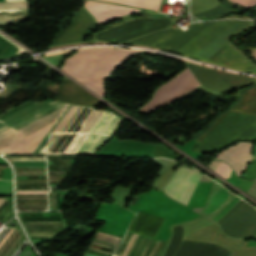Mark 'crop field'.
Instances as JSON below:
<instances>
[{
  "label": "crop field",
  "instance_id": "2",
  "mask_svg": "<svg viewBox=\"0 0 256 256\" xmlns=\"http://www.w3.org/2000/svg\"><path fill=\"white\" fill-rule=\"evenodd\" d=\"M136 52L139 51L113 48L81 50L67 58L61 70L103 97V78L122 60Z\"/></svg>",
  "mask_w": 256,
  "mask_h": 256
},
{
  "label": "crop field",
  "instance_id": "11",
  "mask_svg": "<svg viewBox=\"0 0 256 256\" xmlns=\"http://www.w3.org/2000/svg\"><path fill=\"white\" fill-rule=\"evenodd\" d=\"M85 7L96 17L97 23L139 10L87 0Z\"/></svg>",
  "mask_w": 256,
  "mask_h": 256
},
{
  "label": "crop field",
  "instance_id": "18",
  "mask_svg": "<svg viewBox=\"0 0 256 256\" xmlns=\"http://www.w3.org/2000/svg\"><path fill=\"white\" fill-rule=\"evenodd\" d=\"M218 163H219V161H214V160H212V162H211V164H210V168L215 171V169H216Z\"/></svg>",
  "mask_w": 256,
  "mask_h": 256
},
{
  "label": "crop field",
  "instance_id": "9",
  "mask_svg": "<svg viewBox=\"0 0 256 256\" xmlns=\"http://www.w3.org/2000/svg\"><path fill=\"white\" fill-rule=\"evenodd\" d=\"M65 78V77H64ZM55 100L75 105L93 106L98 100L96 97L76 85L72 81L63 79Z\"/></svg>",
  "mask_w": 256,
  "mask_h": 256
},
{
  "label": "crop field",
  "instance_id": "12",
  "mask_svg": "<svg viewBox=\"0 0 256 256\" xmlns=\"http://www.w3.org/2000/svg\"><path fill=\"white\" fill-rule=\"evenodd\" d=\"M105 1L158 10L159 4L162 0H105Z\"/></svg>",
  "mask_w": 256,
  "mask_h": 256
},
{
  "label": "crop field",
  "instance_id": "15",
  "mask_svg": "<svg viewBox=\"0 0 256 256\" xmlns=\"http://www.w3.org/2000/svg\"><path fill=\"white\" fill-rule=\"evenodd\" d=\"M12 195V182L0 180V196Z\"/></svg>",
  "mask_w": 256,
  "mask_h": 256
},
{
  "label": "crop field",
  "instance_id": "4",
  "mask_svg": "<svg viewBox=\"0 0 256 256\" xmlns=\"http://www.w3.org/2000/svg\"><path fill=\"white\" fill-rule=\"evenodd\" d=\"M211 22L213 21L207 23H193L187 26L189 29L183 32L180 29H166L133 40L127 44H141L176 52L200 31L207 27Z\"/></svg>",
  "mask_w": 256,
  "mask_h": 256
},
{
  "label": "crop field",
  "instance_id": "10",
  "mask_svg": "<svg viewBox=\"0 0 256 256\" xmlns=\"http://www.w3.org/2000/svg\"><path fill=\"white\" fill-rule=\"evenodd\" d=\"M252 143L240 142L239 144L220 152L217 160L228 163L237 175H241L253 157L250 156Z\"/></svg>",
  "mask_w": 256,
  "mask_h": 256
},
{
  "label": "crop field",
  "instance_id": "5",
  "mask_svg": "<svg viewBox=\"0 0 256 256\" xmlns=\"http://www.w3.org/2000/svg\"><path fill=\"white\" fill-rule=\"evenodd\" d=\"M197 81L193 77L189 68L185 69L183 72L174 77L164 86L159 88L154 98L140 110L150 112L162 105L170 103L171 101L181 97L185 93L200 86Z\"/></svg>",
  "mask_w": 256,
  "mask_h": 256
},
{
  "label": "crop field",
  "instance_id": "16",
  "mask_svg": "<svg viewBox=\"0 0 256 256\" xmlns=\"http://www.w3.org/2000/svg\"><path fill=\"white\" fill-rule=\"evenodd\" d=\"M231 1L238 3V4L246 7L247 9L256 4V0H231Z\"/></svg>",
  "mask_w": 256,
  "mask_h": 256
},
{
  "label": "crop field",
  "instance_id": "17",
  "mask_svg": "<svg viewBox=\"0 0 256 256\" xmlns=\"http://www.w3.org/2000/svg\"><path fill=\"white\" fill-rule=\"evenodd\" d=\"M247 193L256 198V179L254 180L253 184L251 185Z\"/></svg>",
  "mask_w": 256,
  "mask_h": 256
},
{
  "label": "crop field",
  "instance_id": "7",
  "mask_svg": "<svg viewBox=\"0 0 256 256\" xmlns=\"http://www.w3.org/2000/svg\"><path fill=\"white\" fill-rule=\"evenodd\" d=\"M239 201L240 198L217 184L211 193L206 208L200 214L217 222Z\"/></svg>",
  "mask_w": 256,
  "mask_h": 256
},
{
  "label": "crop field",
  "instance_id": "20",
  "mask_svg": "<svg viewBox=\"0 0 256 256\" xmlns=\"http://www.w3.org/2000/svg\"><path fill=\"white\" fill-rule=\"evenodd\" d=\"M252 54L256 57V50H254Z\"/></svg>",
  "mask_w": 256,
  "mask_h": 256
},
{
  "label": "crop field",
  "instance_id": "1",
  "mask_svg": "<svg viewBox=\"0 0 256 256\" xmlns=\"http://www.w3.org/2000/svg\"><path fill=\"white\" fill-rule=\"evenodd\" d=\"M251 23L247 21L214 22L177 53L256 73V69L233 50L227 42L229 36L246 28Z\"/></svg>",
  "mask_w": 256,
  "mask_h": 256
},
{
  "label": "crop field",
  "instance_id": "3",
  "mask_svg": "<svg viewBox=\"0 0 256 256\" xmlns=\"http://www.w3.org/2000/svg\"><path fill=\"white\" fill-rule=\"evenodd\" d=\"M255 136L256 116L230 112L200 142L196 150L213 151L238 137L253 139Z\"/></svg>",
  "mask_w": 256,
  "mask_h": 256
},
{
  "label": "crop field",
  "instance_id": "8",
  "mask_svg": "<svg viewBox=\"0 0 256 256\" xmlns=\"http://www.w3.org/2000/svg\"><path fill=\"white\" fill-rule=\"evenodd\" d=\"M94 28L96 26L93 18L81 8L75 16L74 23L57 35L53 46L80 42Z\"/></svg>",
  "mask_w": 256,
  "mask_h": 256
},
{
  "label": "crop field",
  "instance_id": "14",
  "mask_svg": "<svg viewBox=\"0 0 256 256\" xmlns=\"http://www.w3.org/2000/svg\"><path fill=\"white\" fill-rule=\"evenodd\" d=\"M232 169L226 163L220 162L219 166L217 167L216 171L219 175L223 178L227 179L230 176Z\"/></svg>",
  "mask_w": 256,
  "mask_h": 256
},
{
  "label": "crop field",
  "instance_id": "13",
  "mask_svg": "<svg viewBox=\"0 0 256 256\" xmlns=\"http://www.w3.org/2000/svg\"><path fill=\"white\" fill-rule=\"evenodd\" d=\"M234 11L235 10H233V9L226 8V7H223V6L219 5V6L215 7L212 10L205 11V12L196 14L194 16L196 18H200V17H203V16L219 17V16H222V14H226V13H230V12H234Z\"/></svg>",
  "mask_w": 256,
  "mask_h": 256
},
{
  "label": "crop field",
  "instance_id": "19",
  "mask_svg": "<svg viewBox=\"0 0 256 256\" xmlns=\"http://www.w3.org/2000/svg\"><path fill=\"white\" fill-rule=\"evenodd\" d=\"M253 156L256 157V145H255L254 150H253Z\"/></svg>",
  "mask_w": 256,
  "mask_h": 256
},
{
  "label": "crop field",
  "instance_id": "6",
  "mask_svg": "<svg viewBox=\"0 0 256 256\" xmlns=\"http://www.w3.org/2000/svg\"><path fill=\"white\" fill-rule=\"evenodd\" d=\"M200 177L201 174L191 169L179 167L163 190L172 198L187 204Z\"/></svg>",
  "mask_w": 256,
  "mask_h": 256
}]
</instances>
